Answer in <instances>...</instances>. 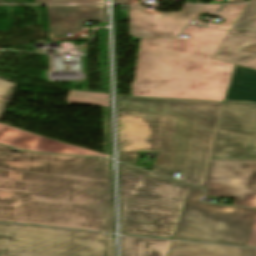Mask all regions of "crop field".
<instances>
[{
    "label": "crop field",
    "mask_w": 256,
    "mask_h": 256,
    "mask_svg": "<svg viewBox=\"0 0 256 256\" xmlns=\"http://www.w3.org/2000/svg\"><path fill=\"white\" fill-rule=\"evenodd\" d=\"M0 145V221L113 233L110 160Z\"/></svg>",
    "instance_id": "1"
},
{
    "label": "crop field",
    "mask_w": 256,
    "mask_h": 256,
    "mask_svg": "<svg viewBox=\"0 0 256 256\" xmlns=\"http://www.w3.org/2000/svg\"><path fill=\"white\" fill-rule=\"evenodd\" d=\"M120 161L139 151L158 153L157 173L202 187L221 112L220 102L119 96Z\"/></svg>",
    "instance_id": "2"
},
{
    "label": "crop field",
    "mask_w": 256,
    "mask_h": 256,
    "mask_svg": "<svg viewBox=\"0 0 256 256\" xmlns=\"http://www.w3.org/2000/svg\"><path fill=\"white\" fill-rule=\"evenodd\" d=\"M189 39H141L131 95L223 101L234 64L209 59L228 31L190 27Z\"/></svg>",
    "instance_id": "3"
},
{
    "label": "crop field",
    "mask_w": 256,
    "mask_h": 256,
    "mask_svg": "<svg viewBox=\"0 0 256 256\" xmlns=\"http://www.w3.org/2000/svg\"><path fill=\"white\" fill-rule=\"evenodd\" d=\"M190 187L121 164V233L173 239Z\"/></svg>",
    "instance_id": "4"
},
{
    "label": "crop field",
    "mask_w": 256,
    "mask_h": 256,
    "mask_svg": "<svg viewBox=\"0 0 256 256\" xmlns=\"http://www.w3.org/2000/svg\"><path fill=\"white\" fill-rule=\"evenodd\" d=\"M114 235L0 223V256H114Z\"/></svg>",
    "instance_id": "5"
},
{
    "label": "crop field",
    "mask_w": 256,
    "mask_h": 256,
    "mask_svg": "<svg viewBox=\"0 0 256 256\" xmlns=\"http://www.w3.org/2000/svg\"><path fill=\"white\" fill-rule=\"evenodd\" d=\"M191 187L174 239L244 246L256 209L202 204Z\"/></svg>",
    "instance_id": "6"
},
{
    "label": "crop field",
    "mask_w": 256,
    "mask_h": 256,
    "mask_svg": "<svg viewBox=\"0 0 256 256\" xmlns=\"http://www.w3.org/2000/svg\"><path fill=\"white\" fill-rule=\"evenodd\" d=\"M210 159H256V103L224 101Z\"/></svg>",
    "instance_id": "7"
},
{
    "label": "crop field",
    "mask_w": 256,
    "mask_h": 256,
    "mask_svg": "<svg viewBox=\"0 0 256 256\" xmlns=\"http://www.w3.org/2000/svg\"><path fill=\"white\" fill-rule=\"evenodd\" d=\"M205 195L235 198L233 205L256 207V160H210Z\"/></svg>",
    "instance_id": "8"
},
{
    "label": "crop field",
    "mask_w": 256,
    "mask_h": 256,
    "mask_svg": "<svg viewBox=\"0 0 256 256\" xmlns=\"http://www.w3.org/2000/svg\"><path fill=\"white\" fill-rule=\"evenodd\" d=\"M206 5H183L179 12H155L139 5H129V28L133 37H176L185 24L193 19L198 25L208 22L196 20Z\"/></svg>",
    "instance_id": "9"
},
{
    "label": "crop field",
    "mask_w": 256,
    "mask_h": 256,
    "mask_svg": "<svg viewBox=\"0 0 256 256\" xmlns=\"http://www.w3.org/2000/svg\"><path fill=\"white\" fill-rule=\"evenodd\" d=\"M49 32L82 30L84 21L106 22L105 5L46 6Z\"/></svg>",
    "instance_id": "10"
},
{
    "label": "crop field",
    "mask_w": 256,
    "mask_h": 256,
    "mask_svg": "<svg viewBox=\"0 0 256 256\" xmlns=\"http://www.w3.org/2000/svg\"><path fill=\"white\" fill-rule=\"evenodd\" d=\"M0 142L25 150L107 157L0 124Z\"/></svg>",
    "instance_id": "11"
},
{
    "label": "crop field",
    "mask_w": 256,
    "mask_h": 256,
    "mask_svg": "<svg viewBox=\"0 0 256 256\" xmlns=\"http://www.w3.org/2000/svg\"><path fill=\"white\" fill-rule=\"evenodd\" d=\"M256 57V38L227 34L212 59L241 64Z\"/></svg>",
    "instance_id": "12"
},
{
    "label": "crop field",
    "mask_w": 256,
    "mask_h": 256,
    "mask_svg": "<svg viewBox=\"0 0 256 256\" xmlns=\"http://www.w3.org/2000/svg\"><path fill=\"white\" fill-rule=\"evenodd\" d=\"M168 256H256V249L173 241Z\"/></svg>",
    "instance_id": "13"
},
{
    "label": "crop field",
    "mask_w": 256,
    "mask_h": 256,
    "mask_svg": "<svg viewBox=\"0 0 256 256\" xmlns=\"http://www.w3.org/2000/svg\"><path fill=\"white\" fill-rule=\"evenodd\" d=\"M224 100L256 102V71L234 66Z\"/></svg>",
    "instance_id": "14"
},
{
    "label": "crop field",
    "mask_w": 256,
    "mask_h": 256,
    "mask_svg": "<svg viewBox=\"0 0 256 256\" xmlns=\"http://www.w3.org/2000/svg\"><path fill=\"white\" fill-rule=\"evenodd\" d=\"M171 242L122 236V256H167Z\"/></svg>",
    "instance_id": "15"
},
{
    "label": "crop field",
    "mask_w": 256,
    "mask_h": 256,
    "mask_svg": "<svg viewBox=\"0 0 256 256\" xmlns=\"http://www.w3.org/2000/svg\"><path fill=\"white\" fill-rule=\"evenodd\" d=\"M229 33L256 37V5L249 4Z\"/></svg>",
    "instance_id": "16"
},
{
    "label": "crop field",
    "mask_w": 256,
    "mask_h": 256,
    "mask_svg": "<svg viewBox=\"0 0 256 256\" xmlns=\"http://www.w3.org/2000/svg\"><path fill=\"white\" fill-rule=\"evenodd\" d=\"M66 102L109 106V97L108 94H95L79 91H70Z\"/></svg>",
    "instance_id": "17"
},
{
    "label": "crop field",
    "mask_w": 256,
    "mask_h": 256,
    "mask_svg": "<svg viewBox=\"0 0 256 256\" xmlns=\"http://www.w3.org/2000/svg\"><path fill=\"white\" fill-rule=\"evenodd\" d=\"M247 5H225L221 12L218 14V17L225 18L223 23H211L207 27L230 30L232 25L247 7Z\"/></svg>",
    "instance_id": "18"
},
{
    "label": "crop field",
    "mask_w": 256,
    "mask_h": 256,
    "mask_svg": "<svg viewBox=\"0 0 256 256\" xmlns=\"http://www.w3.org/2000/svg\"><path fill=\"white\" fill-rule=\"evenodd\" d=\"M17 85L0 78V102L9 103Z\"/></svg>",
    "instance_id": "19"
},
{
    "label": "crop field",
    "mask_w": 256,
    "mask_h": 256,
    "mask_svg": "<svg viewBox=\"0 0 256 256\" xmlns=\"http://www.w3.org/2000/svg\"><path fill=\"white\" fill-rule=\"evenodd\" d=\"M38 3H104L105 0H34Z\"/></svg>",
    "instance_id": "20"
},
{
    "label": "crop field",
    "mask_w": 256,
    "mask_h": 256,
    "mask_svg": "<svg viewBox=\"0 0 256 256\" xmlns=\"http://www.w3.org/2000/svg\"><path fill=\"white\" fill-rule=\"evenodd\" d=\"M245 246L256 247V213Z\"/></svg>",
    "instance_id": "21"
},
{
    "label": "crop field",
    "mask_w": 256,
    "mask_h": 256,
    "mask_svg": "<svg viewBox=\"0 0 256 256\" xmlns=\"http://www.w3.org/2000/svg\"><path fill=\"white\" fill-rule=\"evenodd\" d=\"M222 5H207L203 13L209 16H215Z\"/></svg>",
    "instance_id": "22"
},
{
    "label": "crop field",
    "mask_w": 256,
    "mask_h": 256,
    "mask_svg": "<svg viewBox=\"0 0 256 256\" xmlns=\"http://www.w3.org/2000/svg\"><path fill=\"white\" fill-rule=\"evenodd\" d=\"M240 66L256 69V58L253 59V60H250V61H248L246 63H243Z\"/></svg>",
    "instance_id": "23"
},
{
    "label": "crop field",
    "mask_w": 256,
    "mask_h": 256,
    "mask_svg": "<svg viewBox=\"0 0 256 256\" xmlns=\"http://www.w3.org/2000/svg\"><path fill=\"white\" fill-rule=\"evenodd\" d=\"M7 106H8V104L0 103V120H1V118H2V116H3V114H4V112H5V110H6V108H7Z\"/></svg>",
    "instance_id": "24"
},
{
    "label": "crop field",
    "mask_w": 256,
    "mask_h": 256,
    "mask_svg": "<svg viewBox=\"0 0 256 256\" xmlns=\"http://www.w3.org/2000/svg\"><path fill=\"white\" fill-rule=\"evenodd\" d=\"M238 2H245L242 0H228V3H238ZM250 2H256V0H251Z\"/></svg>",
    "instance_id": "25"
},
{
    "label": "crop field",
    "mask_w": 256,
    "mask_h": 256,
    "mask_svg": "<svg viewBox=\"0 0 256 256\" xmlns=\"http://www.w3.org/2000/svg\"><path fill=\"white\" fill-rule=\"evenodd\" d=\"M114 3H131L130 0H114Z\"/></svg>",
    "instance_id": "26"
}]
</instances>
